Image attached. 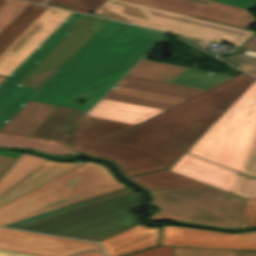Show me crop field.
<instances>
[{"label":"crop field","mask_w":256,"mask_h":256,"mask_svg":"<svg viewBox=\"0 0 256 256\" xmlns=\"http://www.w3.org/2000/svg\"><path fill=\"white\" fill-rule=\"evenodd\" d=\"M174 256H238L236 250L172 247Z\"/></svg>","instance_id":"obj_28"},{"label":"crop field","mask_w":256,"mask_h":256,"mask_svg":"<svg viewBox=\"0 0 256 256\" xmlns=\"http://www.w3.org/2000/svg\"><path fill=\"white\" fill-rule=\"evenodd\" d=\"M130 179L148 189L207 186L206 184L197 180L188 178L169 170L130 177Z\"/></svg>","instance_id":"obj_21"},{"label":"crop field","mask_w":256,"mask_h":256,"mask_svg":"<svg viewBox=\"0 0 256 256\" xmlns=\"http://www.w3.org/2000/svg\"><path fill=\"white\" fill-rule=\"evenodd\" d=\"M240 172L250 177H256V133Z\"/></svg>","instance_id":"obj_36"},{"label":"crop field","mask_w":256,"mask_h":256,"mask_svg":"<svg viewBox=\"0 0 256 256\" xmlns=\"http://www.w3.org/2000/svg\"><path fill=\"white\" fill-rule=\"evenodd\" d=\"M159 208L149 220H180L188 223L238 229L245 198L214 187L148 190Z\"/></svg>","instance_id":"obj_5"},{"label":"crop field","mask_w":256,"mask_h":256,"mask_svg":"<svg viewBox=\"0 0 256 256\" xmlns=\"http://www.w3.org/2000/svg\"><path fill=\"white\" fill-rule=\"evenodd\" d=\"M85 112L72 111L65 117L48 135L45 139L58 140Z\"/></svg>","instance_id":"obj_34"},{"label":"crop field","mask_w":256,"mask_h":256,"mask_svg":"<svg viewBox=\"0 0 256 256\" xmlns=\"http://www.w3.org/2000/svg\"><path fill=\"white\" fill-rule=\"evenodd\" d=\"M160 245L256 250V231L229 234L175 226H163Z\"/></svg>","instance_id":"obj_12"},{"label":"crop field","mask_w":256,"mask_h":256,"mask_svg":"<svg viewBox=\"0 0 256 256\" xmlns=\"http://www.w3.org/2000/svg\"><path fill=\"white\" fill-rule=\"evenodd\" d=\"M103 98L109 99V100H114V101L156 107V108H161V109H165V110L174 106V104L163 103V102H158V101H153V100H148V99H142V98L127 96V95H121V94H116V93H111V92H108Z\"/></svg>","instance_id":"obj_29"},{"label":"crop field","mask_w":256,"mask_h":256,"mask_svg":"<svg viewBox=\"0 0 256 256\" xmlns=\"http://www.w3.org/2000/svg\"><path fill=\"white\" fill-rule=\"evenodd\" d=\"M48 7L30 3L0 32V54L18 38Z\"/></svg>","instance_id":"obj_20"},{"label":"crop field","mask_w":256,"mask_h":256,"mask_svg":"<svg viewBox=\"0 0 256 256\" xmlns=\"http://www.w3.org/2000/svg\"><path fill=\"white\" fill-rule=\"evenodd\" d=\"M9 0H0V9L8 2Z\"/></svg>","instance_id":"obj_46"},{"label":"crop field","mask_w":256,"mask_h":256,"mask_svg":"<svg viewBox=\"0 0 256 256\" xmlns=\"http://www.w3.org/2000/svg\"><path fill=\"white\" fill-rule=\"evenodd\" d=\"M56 141L39 140L32 138H25L19 136H12L0 134V147H24L31 148L43 153H48L49 149Z\"/></svg>","instance_id":"obj_25"},{"label":"crop field","mask_w":256,"mask_h":256,"mask_svg":"<svg viewBox=\"0 0 256 256\" xmlns=\"http://www.w3.org/2000/svg\"><path fill=\"white\" fill-rule=\"evenodd\" d=\"M117 85L123 86V87L139 89V90L155 92V93L171 95V96L182 97V98H186V99L196 95V94H192V93H186V92H181V91H176V90H170V89H165V88H160V87L138 84V83L123 81V80H120L117 83Z\"/></svg>","instance_id":"obj_32"},{"label":"crop field","mask_w":256,"mask_h":256,"mask_svg":"<svg viewBox=\"0 0 256 256\" xmlns=\"http://www.w3.org/2000/svg\"><path fill=\"white\" fill-rule=\"evenodd\" d=\"M137 4L155 7L167 11L181 13L189 16L210 19L232 25L249 28L256 20L251 16L248 10L237 7L208 1L207 4L192 0H125Z\"/></svg>","instance_id":"obj_13"},{"label":"crop field","mask_w":256,"mask_h":256,"mask_svg":"<svg viewBox=\"0 0 256 256\" xmlns=\"http://www.w3.org/2000/svg\"><path fill=\"white\" fill-rule=\"evenodd\" d=\"M73 109L58 106L30 135L32 138L44 139L45 136Z\"/></svg>","instance_id":"obj_26"},{"label":"crop field","mask_w":256,"mask_h":256,"mask_svg":"<svg viewBox=\"0 0 256 256\" xmlns=\"http://www.w3.org/2000/svg\"><path fill=\"white\" fill-rule=\"evenodd\" d=\"M122 79L123 80H128V81H133V82L149 84V85L165 87V88L181 90V91L192 92V93H196V94H199V93L205 91L203 89H197V88H192V87L169 84V83H166L164 81H158V80H152V79H146V78H140V77H134V76H128V75H125Z\"/></svg>","instance_id":"obj_35"},{"label":"crop field","mask_w":256,"mask_h":256,"mask_svg":"<svg viewBox=\"0 0 256 256\" xmlns=\"http://www.w3.org/2000/svg\"><path fill=\"white\" fill-rule=\"evenodd\" d=\"M164 110L101 99L88 115L137 124Z\"/></svg>","instance_id":"obj_17"},{"label":"crop field","mask_w":256,"mask_h":256,"mask_svg":"<svg viewBox=\"0 0 256 256\" xmlns=\"http://www.w3.org/2000/svg\"><path fill=\"white\" fill-rule=\"evenodd\" d=\"M239 256H256V251L237 250Z\"/></svg>","instance_id":"obj_44"},{"label":"crop field","mask_w":256,"mask_h":256,"mask_svg":"<svg viewBox=\"0 0 256 256\" xmlns=\"http://www.w3.org/2000/svg\"><path fill=\"white\" fill-rule=\"evenodd\" d=\"M247 72H256V58L235 54L225 58Z\"/></svg>","instance_id":"obj_38"},{"label":"crop field","mask_w":256,"mask_h":256,"mask_svg":"<svg viewBox=\"0 0 256 256\" xmlns=\"http://www.w3.org/2000/svg\"><path fill=\"white\" fill-rule=\"evenodd\" d=\"M127 256H173L171 247L158 246L138 253Z\"/></svg>","instance_id":"obj_39"},{"label":"crop field","mask_w":256,"mask_h":256,"mask_svg":"<svg viewBox=\"0 0 256 256\" xmlns=\"http://www.w3.org/2000/svg\"><path fill=\"white\" fill-rule=\"evenodd\" d=\"M29 1H33V2H41L43 0H29Z\"/></svg>","instance_id":"obj_47"},{"label":"crop field","mask_w":256,"mask_h":256,"mask_svg":"<svg viewBox=\"0 0 256 256\" xmlns=\"http://www.w3.org/2000/svg\"><path fill=\"white\" fill-rule=\"evenodd\" d=\"M133 192H136V191L130 187H126V188L116 190V191H113V192H110V193H107V194H104L101 196H97V197H94V198H91V199H88L85 201L75 203V204H72V205H69L66 207H62V208H59V209H56V210H53L50 212H46V213H43V214H40V215H37L34 217H30V218H27V219H24V220H21L18 222H14V223L5 225V227L22 229V228H25V227H28V226H31V225H34L37 223H41V222H44V221L74 212V211H77V210H81V209H84V208H87V207H90V206H93V205H96V204H99V203H102V202H105V201H108V200H111V199H114L117 197H121V196L130 194Z\"/></svg>","instance_id":"obj_19"},{"label":"crop field","mask_w":256,"mask_h":256,"mask_svg":"<svg viewBox=\"0 0 256 256\" xmlns=\"http://www.w3.org/2000/svg\"><path fill=\"white\" fill-rule=\"evenodd\" d=\"M251 74H253V75H255V76H256V73H251Z\"/></svg>","instance_id":"obj_49"},{"label":"crop field","mask_w":256,"mask_h":256,"mask_svg":"<svg viewBox=\"0 0 256 256\" xmlns=\"http://www.w3.org/2000/svg\"><path fill=\"white\" fill-rule=\"evenodd\" d=\"M71 12L49 7L17 40L0 55V75L7 76ZM37 29H40L39 31Z\"/></svg>","instance_id":"obj_14"},{"label":"crop field","mask_w":256,"mask_h":256,"mask_svg":"<svg viewBox=\"0 0 256 256\" xmlns=\"http://www.w3.org/2000/svg\"><path fill=\"white\" fill-rule=\"evenodd\" d=\"M160 227L148 228L138 224L100 243L109 256H119L155 246L159 242Z\"/></svg>","instance_id":"obj_15"},{"label":"crop field","mask_w":256,"mask_h":256,"mask_svg":"<svg viewBox=\"0 0 256 256\" xmlns=\"http://www.w3.org/2000/svg\"><path fill=\"white\" fill-rule=\"evenodd\" d=\"M72 12L25 60L0 84V129L38 91L16 85L82 18Z\"/></svg>","instance_id":"obj_9"},{"label":"crop field","mask_w":256,"mask_h":256,"mask_svg":"<svg viewBox=\"0 0 256 256\" xmlns=\"http://www.w3.org/2000/svg\"><path fill=\"white\" fill-rule=\"evenodd\" d=\"M255 80L232 77L100 143L144 152L169 168Z\"/></svg>","instance_id":"obj_2"},{"label":"crop field","mask_w":256,"mask_h":256,"mask_svg":"<svg viewBox=\"0 0 256 256\" xmlns=\"http://www.w3.org/2000/svg\"><path fill=\"white\" fill-rule=\"evenodd\" d=\"M242 48L256 50V34L251 37L245 44L241 46Z\"/></svg>","instance_id":"obj_42"},{"label":"crop field","mask_w":256,"mask_h":256,"mask_svg":"<svg viewBox=\"0 0 256 256\" xmlns=\"http://www.w3.org/2000/svg\"><path fill=\"white\" fill-rule=\"evenodd\" d=\"M94 15L239 47L254 31L120 0H107ZM157 24V25H155Z\"/></svg>","instance_id":"obj_6"},{"label":"crop field","mask_w":256,"mask_h":256,"mask_svg":"<svg viewBox=\"0 0 256 256\" xmlns=\"http://www.w3.org/2000/svg\"><path fill=\"white\" fill-rule=\"evenodd\" d=\"M232 193L245 198H256V179L239 174Z\"/></svg>","instance_id":"obj_33"},{"label":"crop field","mask_w":256,"mask_h":256,"mask_svg":"<svg viewBox=\"0 0 256 256\" xmlns=\"http://www.w3.org/2000/svg\"><path fill=\"white\" fill-rule=\"evenodd\" d=\"M74 256H105L103 253H97V252H86Z\"/></svg>","instance_id":"obj_45"},{"label":"crop field","mask_w":256,"mask_h":256,"mask_svg":"<svg viewBox=\"0 0 256 256\" xmlns=\"http://www.w3.org/2000/svg\"><path fill=\"white\" fill-rule=\"evenodd\" d=\"M15 157L0 154V175L7 168V166L13 161Z\"/></svg>","instance_id":"obj_41"},{"label":"crop field","mask_w":256,"mask_h":256,"mask_svg":"<svg viewBox=\"0 0 256 256\" xmlns=\"http://www.w3.org/2000/svg\"><path fill=\"white\" fill-rule=\"evenodd\" d=\"M140 199V193L136 192L24 230L100 241L140 223L129 212Z\"/></svg>","instance_id":"obj_8"},{"label":"crop field","mask_w":256,"mask_h":256,"mask_svg":"<svg viewBox=\"0 0 256 256\" xmlns=\"http://www.w3.org/2000/svg\"><path fill=\"white\" fill-rule=\"evenodd\" d=\"M256 226V199H247L240 228ZM239 228V229H240Z\"/></svg>","instance_id":"obj_37"},{"label":"crop field","mask_w":256,"mask_h":256,"mask_svg":"<svg viewBox=\"0 0 256 256\" xmlns=\"http://www.w3.org/2000/svg\"><path fill=\"white\" fill-rule=\"evenodd\" d=\"M29 2L10 0L0 10V31L11 22L27 5Z\"/></svg>","instance_id":"obj_30"},{"label":"crop field","mask_w":256,"mask_h":256,"mask_svg":"<svg viewBox=\"0 0 256 256\" xmlns=\"http://www.w3.org/2000/svg\"><path fill=\"white\" fill-rule=\"evenodd\" d=\"M103 118L85 115L80 122L50 149L49 154L74 155L82 151L88 155L111 159L126 176L163 169L159 162L146 154L123 147L97 144L98 142L132 126Z\"/></svg>","instance_id":"obj_7"},{"label":"crop field","mask_w":256,"mask_h":256,"mask_svg":"<svg viewBox=\"0 0 256 256\" xmlns=\"http://www.w3.org/2000/svg\"><path fill=\"white\" fill-rule=\"evenodd\" d=\"M45 159L22 153L0 179V195L27 176L41 164Z\"/></svg>","instance_id":"obj_22"},{"label":"crop field","mask_w":256,"mask_h":256,"mask_svg":"<svg viewBox=\"0 0 256 256\" xmlns=\"http://www.w3.org/2000/svg\"><path fill=\"white\" fill-rule=\"evenodd\" d=\"M0 256H36V255L15 253V252H8V251H0Z\"/></svg>","instance_id":"obj_43"},{"label":"crop field","mask_w":256,"mask_h":256,"mask_svg":"<svg viewBox=\"0 0 256 256\" xmlns=\"http://www.w3.org/2000/svg\"><path fill=\"white\" fill-rule=\"evenodd\" d=\"M162 34L108 20L31 99L87 111Z\"/></svg>","instance_id":"obj_1"},{"label":"crop field","mask_w":256,"mask_h":256,"mask_svg":"<svg viewBox=\"0 0 256 256\" xmlns=\"http://www.w3.org/2000/svg\"><path fill=\"white\" fill-rule=\"evenodd\" d=\"M110 91L116 92V93L132 95V96H137V97H142V98L163 101V102L174 103V104H178V103L186 100V99H182V98H176V97H171V96H166V95H160V94H155V93H150V92L128 89V88H123V87H119V86L117 88H113Z\"/></svg>","instance_id":"obj_31"},{"label":"crop field","mask_w":256,"mask_h":256,"mask_svg":"<svg viewBox=\"0 0 256 256\" xmlns=\"http://www.w3.org/2000/svg\"><path fill=\"white\" fill-rule=\"evenodd\" d=\"M126 187L106 167L85 162L0 206V226Z\"/></svg>","instance_id":"obj_4"},{"label":"crop field","mask_w":256,"mask_h":256,"mask_svg":"<svg viewBox=\"0 0 256 256\" xmlns=\"http://www.w3.org/2000/svg\"><path fill=\"white\" fill-rule=\"evenodd\" d=\"M207 73L208 72L187 68L168 82L208 89L231 77L214 73L209 75Z\"/></svg>","instance_id":"obj_24"},{"label":"crop field","mask_w":256,"mask_h":256,"mask_svg":"<svg viewBox=\"0 0 256 256\" xmlns=\"http://www.w3.org/2000/svg\"><path fill=\"white\" fill-rule=\"evenodd\" d=\"M56 105L29 100L0 130V133L29 137Z\"/></svg>","instance_id":"obj_16"},{"label":"crop field","mask_w":256,"mask_h":256,"mask_svg":"<svg viewBox=\"0 0 256 256\" xmlns=\"http://www.w3.org/2000/svg\"><path fill=\"white\" fill-rule=\"evenodd\" d=\"M106 0H47L45 4L87 13L96 10Z\"/></svg>","instance_id":"obj_27"},{"label":"crop field","mask_w":256,"mask_h":256,"mask_svg":"<svg viewBox=\"0 0 256 256\" xmlns=\"http://www.w3.org/2000/svg\"><path fill=\"white\" fill-rule=\"evenodd\" d=\"M87 249L101 250L97 243L36 234L0 227V250L42 256H69Z\"/></svg>","instance_id":"obj_11"},{"label":"crop field","mask_w":256,"mask_h":256,"mask_svg":"<svg viewBox=\"0 0 256 256\" xmlns=\"http://www.w3.org/2000/svg\"><path fill=\"white\" fill-rule=\"evenodd\" d=\"M106 19H82L18 84L40 89L93 36Z\"/></svg>","instance_id":"obj_10"},{"label":"crop field","mask_w":256,"mask_h":256,"mask_svg":"<svg viewBox=\"0 0 256 256\" xmlns=\"http://www.w3.org/2000/svg\"><path fill=\"white\" fill-rule=\"evenodd\" d=\"M256 130V81L187 150L240 171ZM169 170L232 192L238 173L185 153Z\"/></svg>","instance_id":"obj_3"},{"label":"crop field","mask_w":256,"mask_h":256,"mask_svg":"<svg viewBox=\"0 0 256 256\" xmlns=\"http://www.w3.org/2000/svg\"><path fill=\"white\" fill-rule=\"evenodd\" d=\"M47 161L0 196V205L82 163Z\"/></svg>","instance_id":"obj_18"},{"label":"crop field","mask_w":256,"mask_h":256,"mask_svg":"<svg viewBox=\"0 0 256 256\" xmlns=\"http://www.w3.org/2000/svg\"><path fill=\"white\" fill-rule=\"evenodd\" d=\"M146 61L149 60L141 59L127 74L168 81L185 69V67L159 63L154 61H149L152 63L148 64L145 63Z\"/></svg>","instance_id":"obj_23"},{"label":"crop field","mask_w":256,"mask_h":256,"mask_svg":"<svg viewBox=\"0 0 256 256\" xmlns=\"http://www.w3.org/2000/svg\"><path fill=\"white\" fill-rule=\"evenodd\" d=\"M5 79V77L0 76V83Z\"/></svg>","instance_id":"obj_48"},{"label":"crop field","mask_w":256,"mask_h":256,"mask_svg":"<svg viewBox=\"0 0 256 256\" xmlns=\"http://www.w3.org/2000/svg\"><path fill=\"white\" fill-rule=\"evenodd\" d=\"M214 1L226 3L229 5L237 6V7L248 9V10L256 6V0H214Z\"/></svg>","instance_id":"obj_40"}]
</instances>
